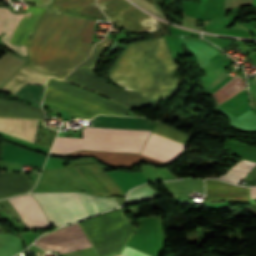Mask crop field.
Segmentation results:
<instances>
[{
  "label": "crop field",
  "mask_w": 256,
  "mask_h": 256,
  "mask_svg": "<svg viewBox=\"0 0 256 256\" xmlns=\"http://www.w3.org/2000/svg\"><path fill=\"white\" fill-rule=\"evenodd\" d=\"M30 187L31 186L24 175H0V196L24 192Z\"/></svg>",
  "instance_id": "733c2abd"
},
{
  "label": "crop field",
  "mask_w": 256,
  "mask_h": 256,
  "mask_svg": "<svg viewBox=\"0 0 256 256\" xmlns=\"http://www.w3.org/2000/svg\"><path fill=\"white\" fill-rule=\"evenodd\" d=\"M150 131L95 128L83 129V139L57 137L51 151L68 153L78 149L140 153Z\"/></svg>",
  "instance_id": "412701ff"
},
{
  "label": "crop field",
  "mask_w": 256,
  "mask_h": 256,
  "mask_svg": "<svg viewBox=\"0 0 256 256\" xmlns=\"http://www.w3.org/2000/svg\"><path fill=\"white\" fill-rule=\"evenodd\" d=\"M34 122L35 120L29 119L0 118V131L34 143L36 130Z\"/></svg>",
  "instance_id": "5142ce71"
},
{
  "label": "crop field",
  "mask_w": 256,
  "mask_h": 256,
  "mask_svg": "<svg viewBox=\"0 0 256 256\" xmlns=\"http://www.w3.org/2000/svg\"><path fill=\"white\" fill-rule=\"evenodd\" d=\"M158 195H160V194H158L157 192L152 190L150 188V186L147 185V186L140 187V188L130 191L126 204L143 201V200L149 199L151 197H156Z\"/></svg>",
  "instance_id": "214f88e0"
},
{
  "label": "crop field",
  "mask_w": 256,
  "mask_h": 256,
  "mask_svg": "<svg viewBox=\"0 0 256 256\" xmlns=\"http://www.w3.org/2000/svg\"><path fill=\"white\" fill-rule=\"evenodd\" d=\"M97 4L111 21L130 31L143 33L154 20L125 0H98Z\"/></svg>",
  "instance_id": "d8731c3e"
},
{
  "label": "crop field",
  "mask_w": 256,
  "mask_h": 256,
  "mask_svg": "<svg viewBox=\"0 0 256 256\" xmlns=\"http://www.w3.org/2000/svg\"><path fill=\"white\" fill-rule=\"evenodd\" d=\"M24 1H29V2H34L36 3V5H41L46 7L47 5H49L51 3V0H24Z\"/></svg>",
  "instance_id": "00972430"
},
{
  "label": "crop field",
  "mask_w": 256,
  "mask_h": 256,
  "mask_svg": "<svg viewBox=\"0 0 256 256\" xmlns=\"http://www.w3.org/2000/svg\"><path fill=\"white\" fill-rule=\"evenodd\" d=\"M9 201L18 211L28 229L50 226L39 204L32 198L30 194L9 199Z\"/></svg>",
  "instance_id": "3316defc"
},
{
  "label": "crop field",
  "mask_w": 256,
  "mask_h": 256,
  "mask_svg": "<svg viewBox=\"0 0 256 256\" xmlns=\"http://www.w3.org/2000/svg\"><path fill=\"white\" fill-rule=\"evenodd\" d=\"M1 1V0H0Z\"/></svg>",
  "instance_id": "4177f3b9"
},
{
  "label": "crop field",
  "mask_w": 256,
  "mask_h": 256,
  "mask_svg": "<svg viewBox=\"0 0 256 256\" xmlns=\"http://www.w3.org/2000/svg\"><path fill=\"white\" fill-rule=\"evenodd\" d=\"M42 206L52 226H59L119 206L115 199L86 193H31Z\"/></svg>",
  "instance_id": "f4fd0767"
},
{
  "label": "crop field",
  "mask_w": 256,
  "mask_h": 256,
  "mask_svg": "<svg viewBox=\"0 0 256 256\" xmlns=\"http://www.w3.org/2000/svg\"><path fill=\"white\" fill-rule=\"evenodd\" d=\"M51 8L87 15L106 21L103 12L97 7L94 0H53Z\"/></svg>",
  "instance_id": "22f410ed"
},
{
  "label": "crop field",
  "mask_w": 256,
  "mask_h": 256,
  "mask_svg": "<svg viewBox=\"0 0 256 256\" xmlns=\"http://www.w3.org/2000/svg\"><path fill=\"white\" fill-rule=\"evenodd\" d=\"M251 198H256V187H250Z\"/></svg>",
  "instance_id": "a9b5d70f"
},
{
  "label": "crop field",
  "mask_w": 256,
  "mask_h": 256,
  "mask_svg": "<svg viewBox=\"0 0 256 256\" xmlns=\"http://www.w3.org/2000/svg\"><path fill=\"white\" fill-rule=\"evenodd\" d=\"M243 89H245L243 79L237 75L212 95L219 104Z\"/></svg>",
  "instance_id": "bc2a9ffb"
},
{
  "label": "crop field",
  "mask_w": 256,
  "mask_h": 256,
  "mask_svg": "<svg viewBox=\"0 0 256 256\" xmlns=\"http://www.w3.org/2000/svg\"><path fill=\"white\" fill-rule=\"evenodd\" d=\"M50 76L27 66L20 69L6 84L0 87V91L14 94L26 83L44 85Z\"/></svg>",
  "instance_id": "cbeb9de0"
},
{
  "label": "crop field",
  "mask_w": 256,
  "mask_h": 256,
  "mask_svg": "<svg viewBox=\"0 0 256 256\" xmlns=\"http://www.w3.org/2000/svg\"><path fill=\"white\" fill-rule=\"evenodd\" d=\"M112 39L98 43L88 58L65 81L96 91L124 106L136 107L156 103L178 87V78L172 77L177 65L164 40L136 42L117 52L108 68V77L119 90L93 74L102 54Z\"/></svg>",
  "instance_id": "8a807250"
},
{
  "label": "crop field",
  "mask_w": 256,
  "mask_h": 256,
  "mask_svg": "<svg viewBox=\"0 0 256 256\" xmlns=\"http://www.w3.org/2000/svg\"><path fill=\"white\" fill-rule=\"evenodd\" d=\"M99 256L121 251L134 227L121 209L79 223Z\"/></svg>",
  "instance_id": "dd49c442"
},
{
  "label": "crop field",
  "mask_w": 256,
  "mask_h": 256,
  "mask_svg": "<svg viewBox=\"0 0 256 256\" xmlns=\"http://www.w3.org/2000/svg\"><path fill=\"white\" fill-rule=\"evenodd\" d=\"M35 243L46 250L50 248L58 252L63 250L69 252L92 246L78 224L45 235Z\"/></svg>",
  "instance_id": "5a996713"
},
{
  "label": "crop field",
  "mask_w": 256,
  "mask_h": 256,
  "mask_svg": "<svg viewBox=\"0 0 256 256\" xmlns=\"http://www.w3.org/2000/svg\"><path fill=\"white\" fill-rule=\"evenodd\" d=\"M120 256H147V255H144L138 251H135V250L125 246V248L122 251V253L120 254Z\"/></svg>",
  "instance_id": "dafd665d"
},
{
  "label": "crop field",
  "mask_w": 256,
  "mask_h": 256,
  "mask_svg": "<svg viewBox=\"0 0 256 256\" xmlns=\"http://www.w3.org/2000/svg\"><path fill=\"white\" fill-rule=\"evenodd\" d=\"M97 20L46 9L26 41L27 66L66 77L91 48Z\"/></svg>",
  "instance_id": "ac0d7876"
},
{
  "label": "crop field",
  "mask_w": 256,
  "mask_h": 256,
  "mask_svg": "<svg viewBox=\"0 0 256 256\" xmlns=\"http://www.w3.org/2000/svg\"><path fill=\"white\" fill-rule=\"evenodd\" d=\"M153 133L172 139L187 145L190 136L174 130L160 122H157ZM151 133L145 146L143 147L141 154L154 158L166 164L173 161L177 155L183 150L185 145L166 139ZM141 154L132 153H115V152H93V151H78L68 155L74 156H91L106 163L111 167H126L132 168L134 164L139 160L140 162H147L158 165H165L159 161L153 160Z\"/></svg>",
  "instance_id": "34b2d1b8"
},
{
  "label": "crop field",
  "mask_w": 256,
  "mask_h": 256,
  "mask_svg": "<svg viewBox=\"0 0 256 256\" xmlns=\"http://www.w3.org/2000/svg\"><path fill=\"white\" fill-rule=\"evenodd\" d=\"M35 113V119H45L42 109L29 106L15 100L0 99V117L31 118ZM34 119V114L32 116Z\"/></svg>",
  "instance_id": "d9b57169"
},
{
  "label": "crop field",
  "mask_w": 256,
  "mask_h": 256,
  "mask_svg": "<svg viewBox=\"0 0 256 256\" xmlns=\"http://www.w3.org/2000/svg\"><path fill=\"white\" fill-rule=\"evenodd\" d=\"M44 9L30 6L19 13L11 10L9 6L0 5V43L14 51L17 56L27 59V34H31Z\"/></svg>",
  "instance_id": "e52e79f7"
},
{
  "label": "crop field",
  "mask_w": 256,
  "mask_h": 256,
  "mask_svg": "<svg viewBox=\"0 0 256 256\" xmlns=\"http://www.w3.org/2000/svg\"><path fill=\"white\" fill-rule=\"evenodd\" d=\"M74 167L97 194H123L97 164L75 165Z\"/></svg>",
  "instance_id": "28ad6ade"
},
{
  "label": "crop field",
  "mask_w": 256,
  "mask_h": 256,
  "mask_svg": "<svg viewBox=\"0 0 256 256\" xmlns=\"http://www.w3.org/2000/svg\"><path fill=\"white\" fill-rule=\"evenodd\" d=\"M255 166L256 163L241 159L235 166L219 178L237 184L239 178H242ZM243 178L256 179V167Z\"/></svg>",
  "instance_id": "4a817a6b"
},
{
  "label": "crop field",
  "mask_w": 256,
  "mask_h": 256,
  "mask_svg": "<svg viewBox=\"0 0 256 256\" xmlns=\"http://www.w3.org/2000/svg\"><path fill=\"white\" fill-rule=\"evenodd\" d=\"M206 199L207 202L227 199L249 201V187H239L216 180H206Z\"/></svg>",
  "instance_id": "d1516ede"
},
{
  "label": "crop field",
  "mask_w": 256,
  "mask_h": 256,
  "mask_svg": "<svg viewBox=\"0 0 256 256\" xmlns=\"http://www.w3.org/2000/svg\"><path fill=\"white\" fill-rule=\"evenodd\" d=\"M133 1L135 3H137L139 6H141V7L145 8V9L151 11L152 13H154V14H156V15L164 18V19H166L164 14H163V12L160 11L161 9H160L159 5L157 4L156 0H146V1H148L149 3L154 5L155 7L159 8L160 10L155 8L154 6H152L151 4L146 2L145 0H133Z\"/></svg>",
  "instance_id": "92a150f3"
}]
</instances>
